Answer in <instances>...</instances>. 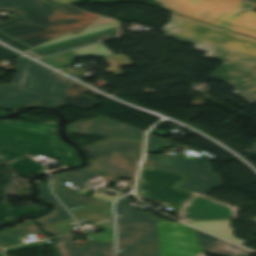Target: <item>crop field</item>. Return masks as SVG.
<instances>
[{
	"label": "crop field",
	"mask_w": 256,
	"mask_h": 256,
	"mask_svg": "<svg viewBox=\"0 0 256 256\" xmlns=\"http://www.w3.org/2000/svg\"><path fill=\"white\" fill-rule=\"evenodd\" d=\"M44 210L42 205H32L24 208L13 209L8 203H0V213L3 220L21 217Z\"/></svg>",
	"instance_id": "a9b5d70f"
},
{
	"label": "crop field",
	"mask_w": 256,
	"mask_h": 256,
	"mask_svg": "<svg viewBox=\"0 0 256 256\" xmlns=\"http://www.w3.org/2000/svg\"><path fill=\"white\" fill-rule=\"evenodd\" d=\"M194 230L205 253L217 256H249L251 253H253L216 237L202 233L196 229Z\"/></svg>",
	"instance_id": "4a817a6b"
},
{
	"label": "crop field",
	"mask_w": 256,
	"mask_h": 256,
	"mask_svg": "<svg viewBox=\"0 0 256 256\" xmlns=\"http://www.w3.org/2000/svg\"><path fill=\"white\" fill-rule=\"evenodd\" d=\"M210 78L230 82V86L240 91V96L251 104L256 103V66L248 73L218 67Z\"/></svg>",
	"instance_id": "cbeb9de0"
},
{
	"label": "crop field",
	"mask_w": 256,
	"mask_h": 256,
	"mask_svg": "<svg viewBox=\"0 0 256 256\" xmlns=\"http://www.w3.org/2000/svg\"><path fill=\"white\" fill-rule=\"evenodd\" d=\"M19 175H29L31 173L44 170L43 167L35 162H32L28 159L20 160L11 165Z\"/></svg>",
	"instance_id": "d3111659"
},
{
	"label": "crop field",
	"mask_w": 256,
	"mask_h": 256,
	"mask_svg": "<svg viewBox=\"0 0 256 256\" xmlns=\"http://www.w3.org/2000/svg\"><path fill=\"white\" fill-rule=\"evenodd\" d=\"M165 32L256 55V39L172 14Z\"/></svg>",
	"instance_id": "dd49c442"
},
{
	"label": "crop field",
	"mask_w": 256,
	"mask_h": 256,
	"mask_svg": "<svg viewBox=\"0 0 256 256\" xmlns=\"http://www.w3.org/2000/svg\"><path fill=\"white\" fill-rule=\"evenodd\" d=\"M73 52L76 55H78L79 57H87V56H91V55H94L96 57H101V56L113 54L102 43L93 45V46H89V47H85V48H81V49H77Z\"/></svg>",
	"instance_id": "750c4746"
},
{
	"label": "crop field",
	"mask_w": 256,
	"mask_h": 256,
	"mask_svg": "<svg viewBox=\"0 0 256 256\" xmlns=\"http://www.w3.org/2000/svg\"><path fill=\"white\" fill-rule=\"evenodd\" d=\"M61 256H85V253L67 254V255H61Z\"/></svg>",
	"instance_id": "c21b1889"
},
{
	"label": "crop field",
	"mask_w": 256,
	"mask_h": 256,
	"mask_svg": "<svg viewBox=\"0 0 256 256\" xmlns=\"http://www.w3.org/2000/svg\"><path fill=\"white\" fill-rule=\"evenodd\" d=\"M171 145V143L165 142L164 139L150 134L147 144V153H159L160 148L170 147Z\"/></svg>",
	"instance_id": "1d83c4d3"
},
{
	"label": "crop field",
	"mask_w": 256,
	"mask_h": 256,
	"mask_svg": "<svg viewBox=\"0 0 256 256\" xmlns=\"http://www.w3.org/2000/svg\"><path fill=\"white\" fill-rule=\"evenodd\" d=\"M0 39L9 43V44H11V45H13V46H15V47H17V48H19V49H21V50H23V51L31 49V47L15 40V39H12V38H10V37L2 34V33H0Z\"/></svg>",
	"instance_id": "120bbe31"
},
{
	"label": "crop field",
	"mask_w": 256,
	"mask_h": 256,
	"mask_svg": "<svg viewBox=\"0 0 256 256\" xmlns=\"http://www.w3.org/2000/svg\"><path fill=\"white\" fill-rule=\"evenodd\" d=\"M68 132L143 141L144 132L98 117L66 126Z\"/></svg>",
	"instance_id": "d1516ede"
},
{
	"label": "crop field",
	"mask_w": 256,
	"mask_h": 256,
	"mask_svg": "<svg viewBox=\"0 0 256 256\" xmlns=\"http://www.w3.org/2000/svg\"><path fill=\"white\" fill-rule=\"evenodd\" d=\"M63 103L10 84L0 86V107L6 110L27 104Z\"/></svg>",
	"instance_id": "d9b57169"
},
{
	"label": "crop field",
	"mask_w": 256,
	"mask_h": 256,
	"mask_svg": "<svg viewBox=\"0 0 256 256\" xmlns=\"http://www.w3.org/2000/svg\"><path fill=\"white\" fill-rule=\"evenodd\" d=\"M88 91L89 90L73 82L67 94L65 95L63 102L82 108L84 110L90 109L98 105V103L93 98L85 95Z\"/></svg>",
	"instance_id": "dafd665d"
},
{
	"label": "crop field",
	"mask_w": 256,
	"mask_h": 256,
	"mask_svg": "<svg viewBox=\"0 0 256 256\" xmlns=\"http://www.w3.org/2000/svg\"><path fill=\"white\" fill-rule=\"evenodd\" d=\"M39 189V198L54 203L55 210L51 212L48 216L36 219V221H38L42 225H45L72 218V216L66 211V209L51 194L49 189V182L39 184Z\"/></svg>",
	"instance_id": "92a150f3"
},
{
	"label": "crop field",
	"mask_w": 256,
	"mask_h": 256,
	"mask_svg": "<svg viewBox=\"0 0 256 256\" xmlns=\"http://www.w3.org/2000/svg\"><path fill=\"white\" fill-rule=\"evenodd\" d=\"M164 37L191 43L195 45L193 49L204 51L205 57L223 62L224 67L248 72L256 65V56L225 49L222 47L206 44L203 42L187 39L184 37L166 33Z\"/></svg>",
	"instance_id": "22f410ed"
},
{
	"label": "crop field",
	"mask_w": 256,
	"mask_h": 256,
	"mask_svg": "<svg viewBox=\"0 0 256 256\" xmlns=\"http://www.w3.org/2000/svg\"><path fill=\"white\" fill-rule=\"evenodd\" d=\"M20 55L0 46V59H6V58H18Z\"/></svg>",
	"instance_id": "d32e631a"
},
{
	"label": "crop field",
	"mask_w": 256,
	"mask_h": 256,
	"mask_svg": "<svg viewBox=\"0 0 256 256\" xmlns=\"http://www.w3.org/2000/svg\"><path fill=\"white\" fill-rule=\"evenodd\" d=\"M251 145H252L253 148L249 153L256 156V142L251 144Z\"/></svg>",
	"instance_id": "c035e120"
},
{
	"label": "crop field",
	"mask_w": 256,
	"mask_h": 256,
	"mask_svg": "<svg viewBox=\"0 0 256 256\" xmlns=\"http://www.w3.org/2000/svg\"><path fill=\"white\" fill-rule=\"evenodd\" d=\"M0 256H3L2 253H1V251H0Z\"/></svg>",
	"instance_id": "5d738f31"
},
{
	"label": "crop field",
	"mask_w": 256,
	"mask_h": 256,
	"mask_svg": "<svg viewBox=\"0 0 256 256\" xmlns=\"http://www.w3.org/2000/svg\"><path fill=\"white\" fill-rule=\"evenodd\" d=\"M77 57L78 56H76L74 53L67 52V53L59 54V55L41 59V60L58 69H61V68L72 66L73 61Z\"/></svg>",
	"instance_id": "730fd06b"
},
{
	"label": "crop field",
	"mask_w": 256,
	"mask_h": 256,
	"mask_svg": "<svg viewBox=\"0 0 256 256\" xmlns=\"http://www.w3.org/2000/svg\"><path fill=\"white\" fill-rule=\"evenodd\" d=\"M248 221H251V222L256 223V218L250 219V220H248Z\"/></svg>",
	"instance_id": "b54c1fbb"
},
{
	"label": "crop field",
	"mask_w": 256,
	"mask_h": 256,
	"mask_svg": "<svg viewBox=\"0 0 256 256\" xmlns=\"http://www.w3.org/2000/svg\"><path fill=\"white\" fill-rule=\"evenodd\" d=\"M57 3H61V4H72L74 2H76L77 0H53Z\"/></svg>",
	"instance_id": "b80d0937"
},
{
	"label": "crop field",
	"mask_w": 256,
	"mask_h": 256,
	"mask_svg": "<svg viewBox=\"0 0 256 256\" xmlns=\"http://www.w3.org/2000/svg\"><path fill=\"white\" fill-rule=\"evenodd\" d=\"M61 163L71 164V165H77V164H80L81 161H80V160H66V159H61Z\"/></svg>",
	"instance_id": "0bd39190"
},
{
	"label": "crop field",
	"mask_w": 256,
	"mask_h": 256,
	"mask_svg": "<svg viewBox=\"0 0 256 256\" xmlns=\"http://www.w3.org/2000/svg\"><path fill=\"white\" fill-rule=\"evenodd\" d=\"M143 144V142L109 138L105 141L91 144L85 147V149L88 151L89 156L98 159L101 157H108L122 153L139 151L142 150ZM112 158L113 157L104 159L101 158L99 163L92 165L87 169L95 172L97 175L113 183H115L114 180H118L120 178H135V174L138 169L137 164L141 158V152L120 156L122 162L127 168V171L122 170L116 164L109 160Z\"/></svg>",
	"instance_id": "e52e79f7"
},
{
	"label": "crop field",
	"mask_w": 256,
	"mask_h": 256,
	"mask_svg": "<svg viewBox=\"0 0 256 256\" xmlns=\"http://www.w3.org/2000/svg\"><path fill=\"white\" fill-rule=\"evenodd\" d=\"M105 230L103 233L95 234L93 232L87 231L86 234L89 240H97V241H107L114 243V226L113 222L109 221L103 224L97 225Z\"/></svg>",
	"instance_id": "eef30255"
},
{
	"label": "crop field",
	"mask_w": 256,
	"mask_h": 256,
	"mask_svg": "<svg viewBox=\"0 0 256 256\" xmlns=\"http://www.w3.org/2000/svg\"><path fill=\"white\" fill-rule=\"evenodd\" d=\"M71 212L79 223L94 224L113 218L111 204L102 200L71 210Z\"/></svg>",
	"instance_id": "bc2a9ffb"
},
{
	"label": "crop field",
	"mask_w": 256,
	"mask_h": 256,
	"mask_svg": "<svg viewBox=\"0 0 256 256\" xmlns=\"http://www.w3.org/2000/svg\"><path fill=\"white\" fill-rule=\"evenodd\" d=\"M62 71L67 72V73L75 72V70H73V69H71V68L65 69V70H62Z\"/></svg>",
	"instance_id": "03da06ac"
},
{
	"label": "crop field",
	"mask_w": 256,
	"mask_h": 256,
	"mask_svg": "<svg viewBox=\"0 0 256 256\" xmlns=\"http://www.w3.org/2000/svg\"><path fill=\"white\" fill-rule=\"evenodd\" d=\"M37 245H42V244H40L39 242H36V243H32V244H28V245H24V246H20V247H14V248L5 250V253L17 251V250L25 249V248L32 247V246H37Z\"/></svg>",
	"instance_id": "028f5c9d"
},
{
	"label": "crop field",
	"mask_w": 256,
	"mask_h": 256,
	"mask_svg": "<svg viewBox=\"0 0 256 256\" xmlns=\"http://www.w3.org/2000/svg\"><path fill=\"white\" fill-rule=\"evenodd\" d=\"M121 196H122V195H119V194H117V195L114 196V197H110V196L103 195V194H93V195H92V197H96V198L105 200V201L110 202V203H112L114 200L118 199V198L121 197Z\"/></svg>",
	"instance_id": "5866460e"
},
{
	"label": "crop field",
	"mask_w": 256,
	"mask_h": 256,
	"mask_svg": "<svg viewBox=\"0 0 256 256\" xmlns=\"http://www.w3.org/2000/svg\"><path fill=\"white\" fill-rule=\"evenodd\" d=\"M61 174L63 180L69 181L70 183H72L73 185L80 189H86L87 187L85 185V182L90 180L95 173L85 168H82L74 171L63 172Z\"/></svg>",
	"instance_id": "4177f3b9"
},
{
	"label": "crop field",
	"mask_w": 256,
	"mask_h": 256,
	"mask_svg": "<svg viewBox=\"0 0 256 256\" xmlns=\"http://www.w3.org/2000/svg\"><path fill=\"white\" fill-rule=\"evenodd\" d=\"M167 10L256 37L255 2L249 0H154Z\"/></svg>",
	"instance_id": "34b2d1b8"
},
{
	"label": "crop field",
	"mask_w": 256,
	"mask_h": 256,
	"mask_svg": "<svg viewBox=\"0 0 256 256\" xmlns=\"http://www.w3.org/2000/svg\"><path fill=\"white\" fill-rule=\"evenodd\" d=\"M52 187L55 194L69 210L99 200L96 198L73 193L66 190L63 186L62 177L60 173L52 176Z\"/></svg>",
	"instance_id": "214f88e0"
},
{
	"label": "crop field",
	"mask_w": 256,
	"mask_h": 256,
	"mask_svg": "<svg viewBox=\"0 0 256 256\" xmlns=\"http://www.w3.org/2000/svg\"><path fill=\"white\" fill-rule=\"evenodd\" d=\"M53 245L58 254L86 252V256H114L113 243L88 241L87 246L73 247L71 236H62Z\"/></svg>",
	"instance_id": "733c2abd"
},
{
	"label": "crop field",
	"mask_w": 256,
	"mask_h": 256,
	"mask_svg": "<svg viewBox=\"0 0 256 256\" xmlns=\"http://www.w3.org/2000/svg\"><path fill=\"white\" fill-rule=\"evenodd\" d=\"M17 7L27 23L78 34L99 15L48 0H0V11Z\"/></svg>",
	"instance_id": "412701ff"
},
{
	"label": "crop field",
	"mask_w": 256,
	"mask_h": 256,
	"mask_svg": "<svg viewBox=\"0 0 256 256\" xmlns=\"http://www.w3.org/2000/svg\"><path fill=\"white\" fill-rule=\"evenodd\" d=\"M105 59L111 67L108 71L117 76L123 75V72L120 69L121 66L132 65L130 58L122 55L106 56Z\"/></svg>",
	"instance_id": "ae1a2a85"
},
{
	"label": "crop field",
	"mask_w": 256,
	"mask_h": 256,
	"mask_svg": "<svg viewBox=\"0 0 256 256\" xmlns=\"http://www.w3.org/2000/svg\"><path fill=\"white\" fill-rule=\"evenodd\" d=\"M161 256H198L202 251L193 228L157 219Z\"/></svg>",
	"instance_id": "28ad6ade"
},
{
	"label": "crop field",
	"mask_w": 256,
	"mask_h": 256,
	"mask_svg": "<svg viewBox=\"0 0 256 256\" xmlns=\"http://www.w3.org/2000/svg\"><path fill=\"white\" fill-rule=\"evenodd\" d=\"M121 35L118 20L100 16L78 35L68 33L25 52L39 58Z\"/></svg>",
	"instance_id": "5a996713"
},
{
	"label": "crop field",
	"mask_w": 256,
	"mask_h": 256,
	"mask_svg": "<svg viewBox=\"0 0 256 256\" xmlns=\"http://www.w3.org/2000/svg\"><path fill=\"white\" fill-rule=\"evenodd\" d=\"M0 31L32 47H35L66 33L26 23L15 25Z\"/></svg>",
	"instance_id": "5142ce71"
},
{
	"label": "crop field",
	"mask_w": 256,
	"mask_h": 256,
	"mask_svg": "<svg viewBox=\"0 0 256 256\" xmlns=\"http://www.w3.org/2000/svg\"><path fill=\"white\" fill-rule=\"evenodd\" d=\"M40 232L32 221L6 232L0 233V247H9L17 244H21L22 237L25 235Z\"/></svg>",
	"instance_id": "00972430"
},
{
	"label": "crop field",
	"mask_w": 256,
	"mask_h": 256,
	"mask_svg": "<svg viewBox=\"0 0 256 256\" xmlns=\"http://www.w3.org/2000/svg\"><path fill=\"white\" fill-rule=\"evenodd\" d=\"M73 224H75L74 220L70 219L58 223L45 225L43 226V229L52 235L59 236L64 234H70V225Z\"/></svg>",
	"instance_id": "bd1437ed"
},
{
	"label": "crop field",
	"mask_w": 256,
	"mask_h": 256,
	"mask_svg": "<svg viewBox=\"0 0 256 256\" xmlns=\"http://www.w3.org/2000/svg\"><path fill=\"white\" fill-rule=\"evenodd\" d=\"M18 71L14 85L62 101L72 81L23 57L16 60Z\"/></svg>",
	"instance_id": "3316defc"
},
{
	"label": "crop field",
	"mask_w": 256,
	"mask_h": 256,
	"mask_svg": "<svg viewBox=\"0 0 256 256\" xmlns=\"http://www.w3.org/2000/svg\"><path fill=\"white\" fill-rule=\"evenodd\" d=\"M186 176L142 167L137 183L139 196L180 206L182 221L230 239L240 245L247 241L234 237L231 219H238L239 207L218 202L214 198L179 190L176 187Z\"/></svg>",
	"instance_id": "8a807250"
},
{
	"label": "crop field",
	"mask_w": 256,
	"mask_h": 256,
	"mask_svg": "<svg viewBox=\"0 0 256 256\" xmlns=\"http://www.w3.org/2000/svg\"><path fill=\"white\" fill-rule=\"evenodd\" d=\"M151 161V163H148ZM143 166L188 176L177 188L207 195L213 188L221 187L219 174L210 165L171 155L147 156Z\"/></svg>",
	"instance_id": "d8731c3e"
},
{
	"label": "crop field",
	"mask_w": 256,
	"mask_h": 256,
	"mask_svg": "<svg viewBox=\"0 0 256 256\" xmlns=\"http://www.w3.org/2000/svg\"><path fill=\"white\" fill-rule=\"evenodd\" d=\"M57 138L56 122L0 121V158L13 162L29 153H35L78 159L73 148Z\"/></svg>",
	"instance_id": "ac0d7876"
},
{
	"label": "crop field",
	"mask_w": 256,
	"mask_h": 256,
	"mask_svg": "<svg viewBox=\"0 0 256 256\" xmlns=\"http://www.w3.org/2000/svg\"><path fill=\"white\" fill-rule=\"evenodd\" d=\"M19 23H22V22H18V21H14V20H10V21L3 22V23L0 22V29L9 27V26H12L15 24H19Z\"/></svg>",
	"instance_id": "e1f06a70"
},
{
	"label": "crop field",
	"mask_w": 256,
	"mask_h": 256,
	"mask_svg": "<svg viewBox=\"0 0 256 256\" xmlns=\"http://www.w3.org/2000/svg\"><path fill=\"white\" fill-rule=\"evenodd\" d=\"M118 213V256H160L156 217L116 203Z\"/></svg>",
	"instance_id": "f4fd0767"
}]
</instances>
